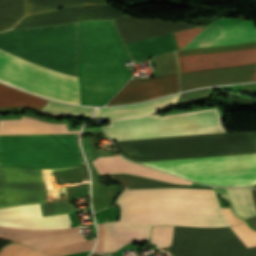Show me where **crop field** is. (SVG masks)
Listing matches in <instances>:
<instances>
[{"mask_svg":"<svg viewBox=\"0 0 256 256\" xmlns=\"http://www.w3.org/2000/svg\"><path fill=\"white\" fill-rule=\"evenodd\" d=\"M103 129L112 140L225 132L215 109L159 117L112 120ZM123 155L138 161L255 154L250 132L220 133L117 141ZM210 185L256 183V154L142 163Z\"/></svg>","mask_w":256,"mask_h":256,"instance_id":"crop-field-1","label":"crop field"},{"mask_svg":"<svg viewBox=\"0 0 256 256\" xmlns=\"http://www.w3.org/2000/svg\"><path fill=\"white\" fill-rule=\"evenodd\" d=\"M0 49L40 66L78 76V22L0 32ZM1 50L0 81L80 104L79 78L26 62Z\"/></svg>","mask_w":256,"mask_h":256,"instance_id":"crop-field-2","label":"crop field"},{"mask_svg":"<svg viewBox=\"0 0 256 256\" xmlns=\"http://www.w3.org/2000/svg\"><path fill=\"white\" fill-rule=\"evenodd\" d=\"M121 218L106 232L104 254L136 240L149 239L153 225L230 226L213 190L162 188L124 190L117 199Z\"/></svg>","mask_w":256,"mask_h":256,"instance_id":"crop-field-3","label":"crop field"},{"mask_svg":"<svg viewBox=\"0 0 256 256\" xmlns=\"http://www.w3.org/2000/svg\"><path fill=\"white\" fill-rule=\"evenodd\" d=\"M256 40L253 22L222 18L205 27L183 49ZM180 73L256 63V41L176 51ZM256 64L180 74V91L249 81Z\"/></svg>","mask_w":256,"mask_h":256,"instance_id":"crop-field-4","label":"crop field"},{"mask_svg":"<svg viewBox=\"0 0 256 256\" xmlns=\"http://www.w3.org/2000/svg\"><path fill=\"white\" fill-rule=\"evenodd\" d=\"M68 132L64 123L51 124L22 117L0 120V135L58 134ZM78 134L0 136V166L52 168L82 164Z\"/></svg>","mask_w":256,"mask_h":256,"instance_id":"crop-field-5","label":"crop field"},{"mask_svg":"<svg viewBox=\"0 0 256 256\" xmlns=\"http://www.w3.org/2000/svg\"><path fill=\"white\" fill-rule=\"evenodd\" d=\"M79 61H131L113 21L79 22ZM79 62L81 104L104 105L130 78L122 62Z\"/></svg>","mask_w":256,"mask_h":256,"instance_id":"crop-field-6","label":"crop field"},{"mask_svg":"<svg viewBox=\"0 0 256 256\" xmlns=\"http://www.w3.org/2000/svg\"><path fill=\"white\" fill-rule=\"evenodd\" d=\"M117 30L125 45H131L167 34L180 32L196 27L153 20H134L130 17L114 20ZM204 27L178 33L185 46ZM177 34L151 41L127 46L132 60L170 52L182 48Z\"/></svg>","mask_w":256,"mask_h":256,"instance_id":"crop-field-7","label":"crop field"},{"mask_svg":"<svg viewBox=\"0 0 256 256\" xmlns=\"http://www.w3.org/2000/svg\"><path fill=\"white\" fill-rule=\"evenodd\" d=\"M167 252L173 256H256V247L247 248L229 227H174Z\"/></svg>","mask_w":256,"mask_h":256,"instance_id":"crop-field-8","label":"crop field"},{"mask_svg":"<svg viewBox=\"0 0 256 256\" xmlns=\"http://www.w3.org/2000/svg\"><path fill=\"white\" fill-rule=\"evenodd\" d=\"M159 75L177 72L174 52L154 57ZM178 91V72L148 79L130 80L107 104L147 100Z\"/></svg>","mask_w":256,"mask_h":256,"instance_id":"crop-field-9","label":"crop field"},{"mask_svg":"<svg viewBox=\"0 0 256 256\" xmlns=\"http://www.w3.org/2000/svg\"><path fill=\"white\" fill-rule=\"evenodd\" d=\"M125 16L107 5L76 6L24 17L14 28L54 25L71 21L116 19Z\"/></svg>","mask_w":256,"mask_h":256,"instance_id":"crop-field-10","label":"crop field"},{"mask_svg":"<svg viewBox=\"0 0 256 256\" xmlns=\"http://www.w3.org/2000/svg\"><path fill=\"white\" fill-rule=\"evenodd\" d=\"M106 3L104 0H0V31L13 27L23 16L73 5Z\"/></svg>","mask_w":256,"mask_h":256,"instance_id":"crop-field-11","label":"crop field"},{"mask_svg":"<svg viewBox=\"0 0 256 256\" xmlns=\"http://www.w3.org/2000/svg\"><path fill=\"white\" fill-rule=\"evenodd\" d=\"M0 225L29 229L70 227L67 214L41 217L39 204L0 209Z\"/></svg>","mask_w":256,"mask_h":256,"instance_id":"crop-field-12","label":"crop field"},{"mask_svg":"<svg viewBox=\"0 0 256 256\" xmlns=\"http://www.w3.org/2000/svg\"><path fill=\"white\" fill-rule=\"evenodd\" d=\"M77 230H79V227L61 229V230H29V229L0 226V237L11 239V240H14V242H17V241H23V240L61 234V233L77 231ZM83 240H85V237L80 235L79 231H77V232H71V233H66L61 235L23 241L20 243L27 244L37 250H40V249L64 245L68 243L83 241Z\"/></svg>","mask_w":256,"mask_h":256,"instance_id":"crop-field-13","label":"crop field"},{"mask_svg":"<svg viewBox=\"0 0 256 256\" xmlns=\"http://www.w3.org/2000/svg\"><path fill=\"white\" fill-rule=\"evenodd\" d=\"M99 174L104 173H129L141 175L167 181L169 183L190 185L191 182L178 178L176 176L163 173L146 166L130 162L122 158L120 155L99 157L91 161ZM193 183V182H192Z\"/></svg>","mask_w":256,"mask_h":256,"instance_id":"crop-field-14","label":"crop field"},{"mask_svg":"<svg viewBox=\"0 0 256 256\" xmlns=\"http://www.w3.org/2000/svg\"><path fill=\"white\" fill-rule=\"evenodd\" d=\"M178 95L146 102L139 105L122 106L116 108H100L95 118L104 117L108 120L127 116L155 113L161 109L172 107Z\"/></svg>","mask_w":256,"mask_h":256,"instance_id":"crop-field-15","label":"crop field"},{"mask_svg":"<svg viewBox=\"0 0 256 256\" xmlns=\"http://www.w3.org/2000/svg\"><path fill=\"white\" fill-rule=\"evenodd\" d=\"M216 191L228 202L235 215L247 218L256 215V190L249 188H215Z\"/></svg>","mask_w":256,"mask_h":256,"instance_id":"crop-field-16","label":"crop field"},{"mask_svg":"<svg viewBox=\"0 0 256 256\" xmlns=\"http://www.w3.org/2000/svg\"><path fill=\"white\" fill-rule=\"evenodd\" d=\"M47 102L48 100L27 94L0 83V108L32 107L41 110Z\"/></svg>","mask_w":256,"mask_h":256,"instance_id":"crop-field-17","label":"crop field"},{"mask_svg":"<svg viewBox=\"0 0 256 256\" xmlns=\"http://www.w3.org/2000/svg\"><path fill=\"white\" fill-rule=\"evenodd\" d=\"M113 176H115L117 179H119L128 189L160 188V187H183V188L212 189V188H206V187H185V186L171 185V184H167V183H162V182H157V181H153V180L137 178V177L128 176V175H113Z\"/></svg>","mask_w":256,"mask_h":256,"instance_id":"crop-field-18","label":"crop field"},{"mask_svg":"<svg viewBox=\"0 0 256 256\" xmlns=\"http://www.w3.org/2000/svg\"><path fill=\"white\" fill-rule=\"evenodd\" d=\"M94 241L95 239H92L84 242L64 245V246L40 250V251L45 253L47 256H62L66 254L89 250L92 248Z\"/></svg>","mask_w":256,"mask_h":256,"instance_id":"crop-field-19","label":"crop field"},{"mask_svg":"<svg viewBox=\"0 0 256 256\" xmlns=\"http://www.w3.org/2000/svg\"><path fill=\"white\" fill-rule=\"evenodd\" d=\"M94 108L90 107H75L65 106L49 101L43 108V112L51 113L54 115H66V114H89L91 115Z\"/></svg>","mask_w":256,"mask_h":256,"instance_id":"crop-field-20","label":"crop field"},{"mask_svg":"<svg viewBox=\"0 0 256 256\" xmlns=\"http://www.w3.org/2000/svg\"><path fill=\"white\" fill-rule=\"evenodd\" d=\"M173 226L152 227L151 243L156 247L170 246L172 241Z\"/></svg>","mask_w":256,"mask_h":256,"instance_id":"crop-field-21","label":"crop field"},{"mask_svg":"<svg viewBox=\"0 0 256 256\" xmlns=\"http://www.w3.org/2000/svg\"><path fill=\"white\" fill-rule=\"evenodd\" d=\"M0 256H45L29 247L19 244H10L0 251Z\"/></svg>","mask_w":256,"mask_h":256,"instance_id":"crop-field-22","label":"crop field"},{"mask_svg":"<svg viewBox=\"0 0 256 256\" xmlns=\"http://www.w3.org/2000/svg\"><path fill=\"white\" fill-rule=\"evenodd\" d=\"M231 228L247 247L256 245V231L250 229L246 222Z\"/></svg>","mask_w":256,"mask_h":256,"instance_id":"crop-field-23","label":"crop field"},{"mask_svg":"<svg viewBox=\"0 0 256 256\" xmlns=\"http://www.w3.org/2000/svg\"><path fill=\"white\" fill-rule=\"evenodd\" d=\"M209 95H210V88L183 93V94H180L175 105L180 103H185V102L200 101L205 99Z\"/></svg>","mask_w":256,"mask_h":256,"instance_id":"crop-field-24","label":"crop field"},{"mask_svg":"<svg viewBox=\"0 0 256 256\" xmlns=\"http://www.w3.org/2000/svg\"><path fill=\"white\" fill-rule=\"evenodd\" d=\"M222 211L224 212V214L226 215L230 225H237L240 224L242 222H244L243 220L237 218L232 211L230 210V208H221Z\"/></svg>","mask_w":256,"mask_h":256,"instance_id":"crop-field-25","label":"crop field"},{"mask_svg":"<svg viewBox=\"0 0 256 256\" xmlns=\"http://www.w3.org/2000/svg\"><path fill=\"white\" fill-rule=\"evenodd\" d=\"M99 227V241L94 251L103 254V223L98 224Z\"/></svg>","mask_w":256,"mask_h":256,"instance_id":"crop-field-26","label":"crop field"},{"mask_svg":"<svg viewBox=\"0 0 256 256\" xmlns=\"http://www.w3.org/2000/svg\"><path fill=\"white\" fill-rule=\"evenodd\" d=\"M249 220L256 227V217L249 218Z\"/></svg>","mask_w":256,"mask_h":256,"instance_id":"crop-field-27","label":"crop field"},{"mask_svg":"<svg viewBox=\"0 0 256 256\" xmlns=\"http://www.w3.org/2000/svg\"><path fill=\"white\" fill-rule=\"evenodd\" d=\"M253 80H256V70H255V73H254V75H253L251 81H253Z\"/></svg>","mask_w":256,"mask_h":256,"instance_id":"crop-field-28","label":"crop field"},{"mask_svg":"<svg viewBox=\"0 0 256 256\" xmlns=\"http://www.w3.org/2000/svg\"><path fill=\"white\" fill-rule=\"evenodd\" d=\"M252 134H253V136H254V138H255V140H256V131H255V132H252Z\"/></svg>","mask_w":256,"mask_h":256,"instance_id":"crop-field-29","label":"crop field"},{"mask_svg":"<svg viewBox=\"0 0 256 256\" xmlns=\"http://www.w3.org/2000/svg\"><path fill=\"white\" fill-rule=\"evenodd\" d=\"M91 256H101V255H98V254H95V253H92Z\"/></svg>","mask_w":256,"mask_h":256,"instance_id":"crop-field-30","label":"crop field"}]
</instances>
